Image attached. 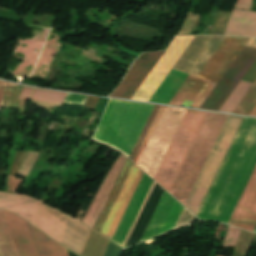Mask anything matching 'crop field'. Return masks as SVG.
<instances>
[{"label":"crop field","mask_w":256,"mask_h":256,"mask_svg":"<svg viewBox=\"0 0 256 256\" xmlns=\"http://www.w3.org/2000/svg\"><path fill=\"white\" fill-rule=\"evenodd\" d=\"M225 37L195 36L173 69L197 76ZM247 40L229 38L223 41L198 77L217 83ZM215 83L188 76L168 104L199 108Z\"/></svg>","instance_id":"obj_1"},{"label":"crop field","mask_w":256,"mask_h":256,"mask_svg":"<svg viewBox=\"0 0 256 256\" xmlns=\"http://www.w3.org/2000/svg\"><path fill=\"white\" fill-rule=\"evenodd\" d=\"M255 165L256 119L245 118L197 217L227 223Z\"/></svg>","instance_id":"obj_2"},{"label":"crop field","mask_w":256,"mask_h":256,"mask_svg":"<svg viewBox=\"0 0 256 256\" xmlns=\"http://www.w3.org/2000/svg\"><path fill=\"white\" fill-rule=\"evenodd\" d=\"M0 208L18 214L58 243L81 254L90 230L83 223L26 196L0 193Z\"/></svg>","instance_id":"obj_3"},{"label":"crop field","mask_w":256,"mask_h":256,"mask_svg":"<svg viewBox=\"0 0 256 256\" xmlns=\"http://www.w3.org/2000/svg\"><path fill=\"white\" fill-rule=\"evenodd\" d=\"M153 106L112 99L93 139L129 156Z\"/></svg>","instance_id":"obj_4"},{"label":"crop field","mask_w":256,"mask_h":256,"mask_svg":"<svg viewBox=\"0 0 256 256\" xmlns=\"http://www.w3.org/2000/svg\"><path fill=\"white\" fill-rule=\"evenodd\" d=\"M208 113L187 110L153 179L170 192Z\"/></svg>","instance_id":"obj_5"},{"label":"crop field","mask_w":256,"mask_h":256,"mask_svg":"<svg viewBox=\"0 0 256 256\" xmlns=\"http://www.w3.org/2000/svg\"><path fill=\"white\" fill-rule=\"evenodd\" d=\"M228 115L209 113L170 192L184 204Z\"/></svg>","instance_id":"obj_6"},{"label":"crop field","mask_w":256,"mask_h":256,"mask_svg":"<svg viewBox=\"0 0 256 256\" xmlns=\"http://www.w3.org/2000/svg\"><path fill=\"white\" fill-rule=\"evenodd\" d=\"M244 118L229 115L184 206L197 215L198 210Z\"/></svg>","instance_id":"obj_7"},{"label":"crop field","mask_w":256,"mask_h":256,"mask_svg":"<svg viewBox=\"0 0 256 256\" xmlns=\"http://www.w3.org/2000/svg\"><path fill=\"white\" fill-rule=\"evenodd\" d=\"M186 110L165 107L137 163L153 177Z\"/></svg>","instance_id":"obj_8"},{"label":"crop field","mask_w":256,"mask_h":256,"mask_svg":"<svg viewBox=\"0 0 256 256\" xmlns=\"http://www.w3.org/2000/svg\"><path fill=\"white\" fill-rule=\"evenodd\" d=\"M255 60L256 48L245 45L200 108L218 111Z\"/></svg>","instance_id":"obj_9"},{"label":"crop field","mask_w":256,"mask_h":256,"mask_svg":"<svg viewBox=\"0 0 256 256\" xmlns=\"http://www.w3.org/2000/svg\"><path fill=\"white\" fill-rule=\"evenodd\" d=\"M193 38L175 37L131 99L148 101Z\"/></svg>","instance_id":"obj_10"},{"label":"crop field","mask_w":256,"mask_h":256,"mask_svg":"<svg viewBox=\"0 0 256 256\" xmlns=\"http://www.w3.org/2000/svg\"><path fill=\"white\" fill-rule=\"evenodd\" d=\"M183 206L164 192L140 241L150 239L173 230Z\"/></svg>","instance_id":"obj_11"},{"label":"crop field","mask_w":256,"mask_h":256,"mask_svg":"<svg viewBox=\"0 0 256 256\" xmlns=\"http://www.w3.org/2000/svg\"><path fill=\"white\" fill-rule=\"evenodd\" d=\"M163 52L141 54L110 96L130 99Z\"/></svg>","instance_id":"obj_12"},{"label":"crop field","mask_w":256,"mask_h":256,"mask_svg":"<svg viewBox=\"0 0 256 256\" xmlns=\"http://www.w3.org/2000/svg\"><path fill=\"white\" fill-rule=\"evenodd\" d=\"M228 223L253 231L256 225V167Z\"/></svg>","instance_id":"obj_13"},{"label":"crop field","mask_w":256,"mask_h":256,"mask_svg":"<svg viewBox=\"0 0 256 256\" xmlns=\"http://www.w3.org/2000/svg\"><path fill=\"white\" fill-rule=\"evenodd\" d=\"M142 174L143 172L135 165H133L117 197V200L100 232V234L107 237L108 239H111Z\"/></svg>","instance_id":"obj_14"},{"label":"crop field","mask_w":256,"mask_h":256,"mask_svg":"<svg viewBox=\"0 0 256 256\" xmlns=\"http://www.w3.org/2000/svg\"><path fill=\"white\" fill-rule=\"evenodd\" d=\"M152 182V179H150L147 175L143 174L128 204V207L111 239V241L118 244L119 246H122Z\"/></svg>","instance_id":"obj_15"},{"label":"crop field","mask_w":256,"mask_h":256,"mask_svg":"<svg viewBox=\"0 0 256 256\" xmlns=\"http://www.w3.org/2000/svg\"><path fill=\"white\" fill-rule=\"evenodd\" d=\"M126 157L121 153L119 158L116 160L108 174L105 176L101 182L82 222L93 227L125 161Z\"/></svg>","instance_id":"obj_16"},{"label":"crop field","mask_w":256,"mask_h":256,"mask_svg":"<svg viewBox=\"0 0 256 256\" xmlns=\"http://www.w3.org/2000/svg\"><path fill=\"white\" fill-rule=\"evenodd\" d=\"M251 1L237 0L234 8L248 11L232 10L225 35L256 37V13L249 11Z\"/></svg>","instance_id":"obj_17"},{"label":"crop field","mask_w":256,"mask_h":256,"mask_svg":"<svg viewBox=\"0 0 256 256\" xmlns=\"http://www.w3.org/2000/svg\"><path fill=\"white\" fill-rule=\"evenodd\" d=\"M3 213L19 256H38L25 221L16 214L6 211Z\"/></svg>","instance_id":"obj_18"},{"label":"crop field","mask_w":256,"mask_h":256,"mask_svg":"<svg viewBox=\"0 0 256 256\" xmlns=\"http://www.w3.org/2000/svg\"><path fill=\"white\" fill-rule=\"evenodd\" d=\"M28 225L39 256H68L65 248L48 238L46 235Z\"/></svg>","instance_id":"obj_19"},{"label":"crop field","mask_w":256,"mask_h":256,"mask_svg":"<svg viewBox=\"0 0 256 256\" xmlns=\"http://www.w3.org/2000/svg\"><path fill=\"white\" fill-rule=\"evenodd\" d=\"M132 165H133V163L129 159H127V161H126L94 227H93V229H95L97 232H100Z\"/></svg>","instance_id":"obj_20"},{"label":"crop field","mask_w":256,"mask_h":256,"mask_svg":"<svg viewBox=\"0 0 256 256\" xmlns=\"http://www.w3.org/2000/svg\"><path fill=\"white\" fill-rule=\"evenodd\" d=\"M251 86V83L240 81V83L237 85V87L234 89V91L231 93L219 111L232 113V111L235 109V107L238 105V103L241 101ZM250 115L256 116V107L253 109Z\"/></svg>","instance_id":"obj_21"},{"label":"crop field","mask_w":256,"mask_h":256,"mask_svg":"<svg viewBox=\"0 0 256 256\" xmlns=\"http://www.w3.org/2000/svg\"><path fill=\"white\" fill-rule=\"evenodd\" d=\"M108 239L90 230L81 256H102Z\"/></svg>","instance_id":"obj_22"},{"label":"crop field","mask_w":256,"mask_h":256,"mask_svg":"<svg viewBox=\"0 0 256 256\" xmlns=\"http://www.w3.org/2000/svg\"><path fill=\"white\" fill-rule=\"evenodd\" d=\"M0 246L4 256H18L1 210H0Z\"/></svg>","instance_id":"obj_23"},{"label":"crop field","mask_w":256,"mask_h":256,"mask_svg":"<svg viewBox=\"0 0 256 256\" xmlns=\"http://www.w3.org/2000/svg\"><path fill=\"white\" fill-rule=\"evenodd\" d=\"M65 96H66L65 93H59V92H53V91H47V90L41 91V90L34 89L30 97V100L61 104Z\"/></svg>","instance_id":"obj_24"},{"label":"crop field","mask_w":256,"mask_h":256,"mask_svg":"<svg viewBox=\"0 0 256 256\" xmlns=\"http://www.w3.org/2000/svg\"><path fill=\"white\" fill-rule=\"evenodd\" d=\"M158 108H159V106H157V105L154 106V108H153V110H152V112H151V114H150V116H149V118H148V120H147V122H146V124H145V126H144V128H143V130H142L134 148H133V150H132V153L129 157L131 160H133V158H134V156H135V154H136V152H137V150H138V148H139V146H140V144H141V142H142V140H143V138H144V136H145V134H146V132H147V130H148V128H149V126H150V124H151V122H152V120H153V118H154V116L157 112V110H158Z\"/></svg>","instance_id":"obj_25"},{"label":"crop field","mask_w":256,"mask_h":256,"mask_svg":"<svg viewBox=\"0 0 256 256\" xmlns=\"http://www.w3.org/2000/svg\"><path fill=\"white\" fill-rule=\"evenodd\" d=\"M163 108L164 107H162V106L160 107V109H159V111H158V113H157V115H156V117H155V119H154V121H153V123H152V125H151V127H150V129H149V131H148V133H147V135H146V137H145V139H144V141H143V143H142V145H141V147H140V149H139V151H138V153H137L133 162L137 163V161H138V159H139V157H140V155H141V153H142V151H143V149H144V147H145V145H146V143H147V141L150 137V134H151V132H152V130H153V128H154V126H155V124H156V122H157V120H158V118H159V116L162 112V110H163Z\"/></svg>","instance_id":"obj_26"},{"label":"crop field","mask_w":256,"mask_h":256,"mask_svg":"<svg viewBox=\"0 0 256 256\" xmlns=\"http://www.w3.org/2000/svg\"><path fill=\"white\" fill-rule=\"evenodd\" d=\"M122 248L108 241L103 256H120Z\"/></svg>","instance_id":"obj_27"},{"label":"crop field","mask_w":256,"mask_h":256,"mask_svg":"<svg viewBox=\"0 0 256 256\" xmlns=\"http://www.w3.org/2000/svg\"><path fill=\"white\" fill-rule=\"evenodd\" d=\"M87 96L67 94L64 102L83 105Z\"/></svg>","instance_id":"obj_28"},{"label":"crop field","mask_w":256,"mask_h":256,"mask_svg":"<svg viewBox=\"0 0 256 256\" xmlns=\"http://www.w3.org/2000/svg\"><path fill=\"white\" fill-rule=\"evenodd\" d=\"M21 182L22 179H18L9 175L7 191L16 192Z\"/></svg>","instance_id":"obj_29"},{"label":"crop field","mask_w":256,"mask_h":256,"mask_svg":"<svg viewBox=\"0 0 256 256\" xmlns=\"http://www.w3.org/2000/svg\"><path fill=\"white\" fill-rule=\"evenodd\" d=\"M98 99L99 98L88 96L86 99V102L84 104V107L94 109L97 104Z\"/></svg>","instance_id":"obj_30"},{"label":"crop field","mask_w":256,"mask_h":256,"mask_svg":"<svg viewBox=\"0 0 256 256\" xmlns=\"http://www.w3.org/2000/svg\"><path fill=\"white\" fill-rule=\"evenodd\" d=\"M32 90L33 89H31V88L24 87L19 99L28 100L31 95Z\"/></svg>","instance_id":"obj_31"},{"label":"crop field","mask_w":256,"mask_h":256,"mask_svg":"<svg viewBox=\"0 0 256 256\" xmlns=\"http://www.w3.org/2000/svg\"><path fill=\"white\" fill-rule=\"evenodd\" d=\"M10 86H17V85L8 83V82H4V81H0V87H10Z\"/></svg>","instance_id":"obj_32"},{"label":"crop field","mask_w":256,"mask_h":256,"mask_svg":"<svg viewBox=\"0 0 256 256\" xmlns=\"http://www.w3.org/2000/svg\"><path fill=\"white\" fill-rule=\"evenodd\" d=\"M4 90H5V88H0V109H1V105H2Z\"/></svg>","instance_id":"obj_33"},{"label":"crop field","mask_w":256,"mask_h":256,"mask_svg":"<svg viewBox=\"0 0 256 256\" xmlns=\"http://www.w3.org/2000/svg\"><path fill=\"white\" fill-rule=\"evenodd\" d=\"M67 252H68V255H69V256H77V255H75V254L71 253V252H70V251H68V250H67Z\"/></svg>","instance_id":"obj_34"}]
</instances>
